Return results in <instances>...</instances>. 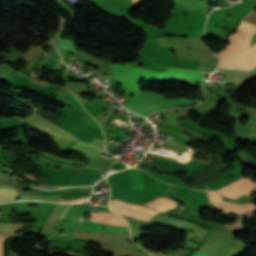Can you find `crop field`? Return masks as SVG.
Instances as JSON below:
<instances>
[{
	"label": "crop field",
	"instance_id": "d8731c3e",
	"mask_svg": "<svg viewBox=\"0 0 256 256\" xmlns=\"http://www.w3.org/2000/svg\"><path fill=\"white\" fill-rule=\"evenodd\" d=\"M150 165L158 167V168L162 169L163 171L170 172V173H174L175 171H183L190 175L192 170H194L191 167L184 166V165H181L176 162H171V161L157 159V158H153ZM160 169H158V170H160Z\"/></svg>",
	"mask_w": 256,
	"mask_h": 256
},
{
	"label": "crop field",
	"instance_id": "cbeb9de0",
	"mask_svg": "<svg viewBox=\"0 0 256 256\" xmlns=\"http://www.w3.org/2000/svg\"><path fill=\"white\" fill-rule=\"evenodd\" d=\"M18 198V191L11 188H0V202L13 201Z\"/></svg>",
	"mask_w": 256,
	"mask_h": 256
},
{
	"label": "crop field",
	"instance_id": "e52e79f7",
	"mask_svg": "<svg viewBox=\"0 0 256 256\" xmlns=\"http://www.w3.org/2000/svg\"><path fill=\"white\" fill-rule=\"evenodd\" d=\"M78 220L79 218L76 217L63 216L55 229L54 236L51 238L73 239V232L80 223ZM59 229L64 230L65 233L60 235L58 233Z\"/></svg>",
	"mask_w": 256,
	"mask_h": 256
},
{
	"label": "crop field",
	"instance_id": "d1516ede",
	"mask_svg": "<svg viewBox=\"0 0 256 256\" xmlns=\"http://www.w3.org/2000/svg\"><path fill=\"white\" fill-rule=\"evenodd\" d=\"M230 171L231 170L224 171L221 179L213 183L205 184V190H217L223 187L224 185L230 183Z\"/></svg>",
	"mask_w": 256,
	"mask_h": 256
},
{
	"label": "crop field",
	"instance_id": "bc2a9ffb",
	"mask_svg": "<svg viewBox=\"0 0 256 256\" xmlns=\"http://www.w3.org/2000/svg\"><path fill=\"white\" fill-rule=\"evenodd\" d=\"M206 193H207L208 201H209V203H211V202H210V198H209V195H208V192L206 191Z\"/></svg>",
	"mask_w": 256,
	"mask_h": 256
},
{
	"label": "crop field",
	"instance_id": "3316defc",
	"mask_svg": "<svg viewBox=\"0 0 256 256\" xmlns=\"http://www.w3.org/2000/svg\"><path fill=\"white\" fill-rule=\"evenodd\" d=\"M253 77H255L253 70L251 71L228 70L226 79L233 82L244 83L246 80Z\"/></svg>",
	"mask_w": 256,
	"mask_h": 256
},
{
	"label": "crop field",
	"instance_id": "8a807250",
	"mask_svg": "<svg viewBox=\"0 0 256 256\" xmlns=\"http://www.w3.org/2000/svg\"><path fill=\"white\" fill-rule=\"evenodd\" d=\"M111 70L119 80L123 90L127 94L136 95L141 90L138 82L145 79L157 78H183L188 80L200 81L207 73L193 72L188 70H180L169 68L165 73L152 72L148 69L137 68L130 65H111Z\"/></svg>",
	"mask_w": 256,
	"mask_h": 256
},
{
	"label": "crop field",
	"instance_id": "34b2d1b8",
	"mask_svg": "<svg viewBox=\"0 0 256 256\" xmlns=\"http://www.w3.org/2000/svg\"><path fill=\"white\" fill-rule=\"evenodd\" d=\"M219 66H232V67H241L251 69L256 66V44L243 50L232 54L227 57L219 58ZM232 67H219L218 70L223 68H232ZM237 68V69H241Z\"/></svg>",
	"mask_w": 256,
	"mask_h": 256
},
{
	"label": "crop field",
	"instance_id": "5a996713",
	"mask_svg": "<svg viewBox=\"0 0 256 256\" xmlns=\"http://www.w3.org/2000/svg\"><path fill=\"white\" fill-rule=\"evenodd\" d=\"M99 170L83 167L81 172L78 173L76 178L72 181L70 186H78V185H92L91 183L94 180H98ZM95 182V181H94Z\"/></svg>",
	"mask_w": 256,
	"mask_h": 256
},
{
	"label": "crop field",
	"instance_id": "ac0d7876",
	"mask_svg": "<svg viewBox=\"0 0 256 256\" xmlns=\"http://www.w3.org/2000/svg\"><path fill=\"white\" fill-rule=\"evenodd\" d=\"M125 95L126 103L124 106L143 116H148L160 109L188 106L199 102L197 98L195 100H186L185 98L166 99L164 96L150 91L140 92L132 98H129L127 94Z\"/></svg>",
	"mask_w": 256,
	"mask_h": 256
},
{
	"label": "crop field",
	"instance_id": "5142ce71",
	"mask_svg": "<svg viewBox=\"0 0 256 256\" xmlns=\"http://www.w3.org/2000/svg\"><path fill=\"white\" fill-rule=\"evenodd\" d=\"M110 197L121 199V200H125V201H130V202L141 203V204L146 202V201H148V200H145L143 198L132 196V195L121 193V192L113 193V194L110 195Z\"/></svg>",
	"mask_w": 256,
	"mask_h": 256
},
{
	"label": "crop field",
	"instance_id": "4a817a6b",
	"mask_svg": "<svg viewBox=\"0 0 256 256\" xmlns=\"http://www.w3.org/2000/svg\"><path fill=\"white\" fill-rule=\"evenodd\" d=\"M191 256H206V255H204V254H201V253H199V252H195L194 254H192Z\"/></svg>",
	"mask_w": 256,
	"mask_h": 256
},
{
	"label": "crop field",
	"instance_id": "d9b57169",
	"mask_svg": "<svg viewBox=\"0 0 256 256\" xmlns=\"http://www.w3.org/2000/svg\"><path fill=\"white\" fill-rule=\"evenodd\" d=\"M243 21L249 22L256 26V13H254V9L243 19Z\"/></svg>",
	"mask_w": 256,
	"mask_h": 256
},
{
	"label": "crop field",
	"instance_id": "22f410ed",
	"mask_svg": "<svg viewBox=\"0 0 256 256\" xmlns=\"http://www.w3.org/2000/svg\"><path fill=\"white\" fill-rule=\"evenodd\" d=\"M128 171L132 188H142L143 181L140 175V171L135 168H129Z\"/></svg>",
	"mask_w": 256,
	"mask_h": 256
},
{
	"label": "crop field",
	"instance_id": "dd49c442",
	"mask_svg": "<svg viewBox=\"0 0 256 256\" xmlns=\"http://www.w3.org/2000/svg\"><path fill=\"white\" fill-rule=\"evenodd\" d=\"M101 226H107V229L102 230ZM76 230L80 231H91V232H102V233H121V234H129L128 228L86 220L84 219L83 222L76 228Z\"/></svg>",
	"mask_w": 256,
	"mask_h": 256
},
{
	"label": "crop field",
	"instance_id": "733c2abd",
	"mask_svg": "<svg viewBox=\"0 0 256 256\" xmlns=\"http://www.w3.org/2000/svg\"><path fill=\"white\" fill-rule=\"evenodd\" d=\"M137 6L141 3V0H132ZM131 0H126V2L136 6ZM136 6V7H137Z\"/></svg>",
	"mask_w": 256,
	"mask_h": 256
},
{
	"label": "crop field",
	"instance_id": "f4fd0767",
	"mask_svg": "<svg viewBox=\"0 0 256 256\" xmlns=\"http://www.w3.org/2000/svg\"><path fill=\"white\" fill-rule=\"evenodd\" d=\"M210 194L213 203L219 210L234 213L256 210V207L253 205V203L247 202L245 204H234L232 202H224L223 198L218 194L217 191H211Z\"/></svg>",
	"mask_w": 256,
	"mask_h": 256
},
{
	"label": "crop field",
	"instance_id": "412701ff",
	"mask_svg": "<svg viewBox=\"0 0 256 256\" xmlns=\"http://www.w3.org/2000/svg\"><path fill=\"white\" fill-rule=\"evenodd\" d=\"M247 179V178H246ZM243 176L234 183L217 190L221 195L230 198H237L243 194L250 196L252 190L256 188V183L246 180Z\"/></svg>",
	"mask_w": 256,
	"mask_h": 256
},
{
	"label": "crop field",
	"instance_id": "28ad6ade",
	"mask_svg": "<svg viewBox=\"0 0 256 256\" xmlns=\"http://www.w3.org/2000/svg\"><path fill=\"white\" fill-rule=\"evenodd\" d=\"M176 202L167 199V198H157L156 200L152 201L146 206H149L151 208H154L160 212H163L167 209L175 207Z\"/></svg>",
	"mask_w": 256,
	"mask_h": 256
}]
</instances>
